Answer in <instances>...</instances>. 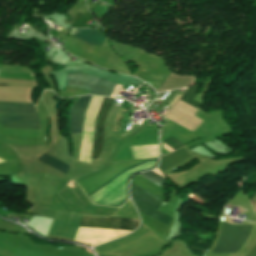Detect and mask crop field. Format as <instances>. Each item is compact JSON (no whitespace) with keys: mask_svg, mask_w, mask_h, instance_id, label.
I'll return each instance as SVG.
<instances>
[{"mask_svg":"<svg viewBox=\"0 0 256 256\" xmlns=\"http://www.w3.org/2000/svg\"><path fill=\"white\" fill-rule=\"evenodd\" d=\"M38 160L66 173L67 169H68V166H66L65 164L61 163L60 161L46 155V154H43L41 157L38 158Z\"/></svg>","mask_w":256,"mask_h":256,"instance_id":"9","label":"crop field"},{"mask_svg":"<svg viewBox=\"0 0 256 256\" xmlns=\"http://www.w3.org/2000/svg\"><path fill=\"white\" fill-rule=\"evenodd\" d=\"M92 96L80 97L71 110L70 133H81L88 106ZM114 99H104L100 113L97 118L94 152L92 159H96L102 148L104 119Z\"/></svg>","mask_w":256,"mask_h":256,"instance_id":"1","label":"crop field"},{"mask_svg":"<svg viewBox=\"0 0 256 256\" xmlns=\"http://www.w3.org/2000/svg\"><path fill=\"white\" fill-rule=\"evenodd\" d=\"M190 157L187 155V153L184 151L183 148L169 154L166 155L162 158V160L160 161V168L162 171L177 165L187 159H189Z\"/></svg>","mask_w":256,"mask_h":256,"instance_id":"8","label":"crop field"},{"mask_svg":"<svg viewBox=\"0 0 256 256\" xmlns=\"http://www.w3.org/2000/svg\"><path fill=\"white\" fill-rule=\"evenodd\" d=\"M66 85L89 90L88 94L106 96L112 82L92 75L69 73L67 74ZM119 88L122 89L123 86L114 83L108 96L113 97Z\"/></svg>","mask_w":256,"mask_h":256,"instance_id":"3","label":"crop field"},{"mask_svg":"<svg viewBox=\"0 0 256 256\" xmlns=\"http://www.w3.org/2000/svg\"><path fill=\"white\" fill-rule=\"evenodd\" d=\"M131 197L133 199L155 209V210L158 208V206H160V203H161L160 197H158V196H156V195H154V194H152L134 184H131ZM135 200H133V202H134L136 208L138 209V211H140L152 218H155L167 225L169 224L171 217L163 215V214H161V213H159V212H157V211H155V210H153Z\"/></svg>","mask_w":256,"mask_h":256,"instance_id":"5","label":"crop field"},{"mask_svg":"<svg viewBox=\"0 0 256 256\" xmlns=\"http://www.w3.org/2000/svg\"><path fill=\"white\" fill-rule=\"evenodd\" d=\"M153 171L155 173L159 174L160 176H162L163 178H165L164 175L161 173V171L158 168L153 170ZM154 172L150 171V172L142 173V174H139V175H141L144 178L148 179L149 181H151V182L161 186L162 181L165 180V179H163L162 177L158 176Z\"/></svg>","mask_w":256,"mask_h":256,"instance_id":"11","label":"crop field"},{"mask_svg":"<svg viewBox=\"0 0 256 256\" xmlns=\"http://www.w3.org/2000/svg\"><path fill=\"white\" fill-rule=\"evenodd\" d=\"M251 227L224 224L210 254L238 250L249 235Z\"/></svg>","mask_w":256,"mask_h":256,"instance_id":"4","label":"crop field"},{"mask_svg":"<svg viewBox=\"0 0 256 256\" xmlns=\"http://www.w3.org/2000/svg\"><path fill=\"white\" fill-rule=\"evenodd\" d=\"M81 222L129 224V225H138L139 224V220H133V219L110 218V217L101 218V217H88V216H84ZM90 223H80V225L100 226V227H114V228H128V229H135L137 227V226H129V225H109V224H90Z\"/></svg>","mask_w":256,"mask_h":256,"instance_id":"6","label":"crop field"},{"mask_svg":"<svg viewBox=\"0 0 256 256\" xmlns=\"http://www.w3.org/2000/svg\"><path fill=\"white\" fill-rule=\"evenodd\" d=\"M75 37L88 45L101 46L105 37L97 29H78Z\"/></svg>","mask_w":256,"mask_h":256,"instance_id":"7","label":"crop field"},{"mask_svg":"<svg viewBox=\"0 0 256 256\" xmlns=\"http://www.w3.org/2000/svg\"><path fill=\"white\" fill-rule=\"evenodd\" d=\"M148 161H150V160H148ZM148 161H146V162H148ZM146 162L139 163V164H137V165H135V166H133V167H131V168H128V169L122 171V172L119 173L117 176H115L113 179H111L109 182H107L105 185H107V184L111 183L112 181H114V180L120 178L121 176H123V175L129 173L130 171H132V170L138 168L139 166L145 164ZM105 185H103L102 187H104ZM102 187H101V188H102ZM99 189H100V188H99Z\"/></svg>","mask_w":256,"mask_h":256,"instance_id":"12","label":"crop field"},{"mask_svg":"<svg viewBox=\"0 0 256 256\" xmlns=\"http://www.w3.org/2000/svg\"><path fill=\"white\" fill-rule=\"evenodd\" d=\"M199 85L188 88V90L185 92V94L182 96V98L180 100H182V101L188 103L189 105L198 109V107L200 106L201 103L194 101L192 99H193L194 95L196 94V92L199 88Z\"/></svg>","mask_w":256,"mask_h":256,"instance_id":"10","label":"crop field"},{"mask_svg":"<svg viewBox=\"0 0 256 256\" xmlns=\"http://www.w3.org/2000/svg\"><path fill=\"white\" fill-rule=\"evenodd\" d=\"M0 124L5 128L41 129L32 104L0 102Z\"/></svg>","mask_w":256,"mask_h":256,"instance_id":"2","label":"crop field"}]
</instances>
